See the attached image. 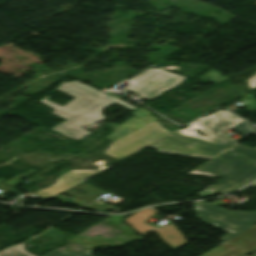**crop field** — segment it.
I'll return each instance as SVG.
<instances>
[{
	"mask_svg": "<svg viewBox=\"0 0 256 256\" xmlns=\"http://www.w3.org/2000/svg\"><path fill=\"white\" fill-rule=\"evenodd\" d=\"M196 128L202 131L206 137L199 136L194 131ZM229 128L244 136L254 132L245 121L227 111L218 110L208 117L198 119L188 125L186 129L180 130L172 134V136L218 147L223 150L171 138L169 136L148 147L163 153L212 159L239 143L229 139L226 134L222 133Z\"/></svg>",
	"mask_w": 256,
	"mask_h": 256,
	"instance_id": "obj_1",
	"label": "crop field"
},
{
	"mask_svg": "<svg viewBox=\"0 0 256 256\" xmlns=\"http://www.w3.org/2000/svg\"><path fill=\"white\" fill-rule=\"evenodd\" d=\"M57 89L76 99L74 98L75 100L63 107L45 98L40 102L54 108L52 114L66 120L52 130L75 140L89 134L82 130V127L105 118V115L100 113L103 108L117 102L131 110L135 109L76 80L69 83L64 82Z\"/></svg>",
	"mask_w": 256,
	"mask_h": 256,
	"instance_id": "obj_2",
	"label": "crop field"
},
{
	"mask_svg": "<svg viewBox=\"0 0 256 256\" xmlns=\"http://www.w3.org/2000/svg\"><path fill=\"white\" fill-rule=\"evenodd\" d=\"M189 174H202L212 178L224 176L211 188L227 194L255 179L256 167L224 153L192 170Z\"/></svg>",
	"mask_w": 256,
	"mask_h": 256,
	"instance_id": "obj_3",
	"label": "crop field"
},
{
	"mask_svg": "<svg viewBox=\"0 0 256 256\" xmlns=\"http://www.w3.org/2000/svg\"><path fill=\"white\" fill-rule=\"evenodd\" d=\"M194 207L197 213L196 218L229 232L219 239L223 242L256 222V212L229 211L203 201L196 203Z\"/></svg>",
	"mask_w": 256,
	"mask_h": 256,
	"instance_id": "obj_4",
	"label": "crop field"
},
{
	"mask_svg": "<svg viewBox=\"0 0 256 256\" xmlns=\"http://www.w3.org/2000/svg\"><path fill=\"white\" fill-rule=\"evenodd\" d=\"M185 77L163 71L157 68H149L138 75L128 79L132 85L126 89L151 100L161 92L179 85Z\"/></svg>",
	"mask_w": 256,
	"mask_h": 256,
	"instance_id": "obj_5",
	"label": "crop field"
},
{
	"mask_svg": "<svg viewBox=\"0 0 256 256\" xmlns=\"http://www.w3.org/2000/svg\"><path fill=\"white\" fill-rule=\"evenodd\" d=\"M169 134L155 120L111 144L105 152L120 159Z\"/></svg>",
	"mask_w": 256,
	"mask_h": 256,
	"instance_id": "obj_6",
	"label": "crop field"
},
{
	"mask_svg": "<svg viewBox=\"0 0 256 256\" xmlns=\"http://www.w3.org/2000/svg\"><path fill=\"white\" fill-rule=\"evenodd\" d=\"M74 187H77L83 191H85L86 193L84 194H80L78 192H75L73 190H71L72 188ZM66 191H64L63 193H66L68 195H70L71 197H73L72 199H69V200H65V199H62V198H59L57 196H55L53 199H57V200H61V201H73V203L77 206H85L86 204L92 202L93 199L107 193L106 191L104 190H100V189H97L91 185H88L84 182L74 186Z\"/></svg>",
	"mask_w": 256,
	"mask_h": 256,
	"instance_id": "obj_7",
	"label": "crop field"
},
{
	"mask_svg": "<svg viewBox=\"0 0 256 256\" xmlns=\"http://www.w3.org/2000/svg\"><path fill=\"white\" fill-rule=\"evenodd\" d=\"M154 231L157 232L163 241L174 250L188 243L173 224L169 225L168 227L162 226Z\"/></svg>",
	"mask_w": 256,
	"mask_h": 256,
	"instance_id": "obj_8",
	"label": "crop field"
},
{
	"mask_svg": "<svg viewBox=\"0 0 256 256\" xmlns=\"http://www.w3.org/2000/svg\"><path fill=\"white\" fill-rule=\"evenodd\" d=\"M156 212L157 211L151 208L142 209L130 216L129 218L125 219V221L142 235L146 231L155 228L153 226L145 224V222L148 218H150V216H152Z\"/></svg>",
	"mask_w": 256,
	"mask_h": 256,
	"instance_id": "obj_9",
	"label": "crop field"
},
{
	"mask_svg": "<svg viewBox=\"0 0 256 256\" xmlns=\"http://www.w3.org/2000/svg\"><path fill=\"white\" fill-rule=\"evenodd\" d=\"M227 243L254 251L256 249V225L232 237Z\"/></svg>",
	"mask_w": 256,
	"mask_h": 256,
	"instance_id": "obj_10",
	"label": "crop field"
},
{
	"mask_svg": "<svg viewBox=\"0 0 256 256\" xmlns=\"http://www.w3.org/2000/svg\"><path fill=\"white\" fill-rule=\"evenodd\" d=\"M226 152L256 165V148L238 144Z\"/></svg>",
	"mask_w": 256,
	"mask_h": 256,
	"instance_id": "obj_11",
	"label": "crop field"
},
{
	"mask_svg": "<svg viewBox=\"0 0 256 256\" xmlns=\"http://www.w3.org/2000/svg\"><path fill=\"white\" fill-rule=\"evenodd\" d=\"M249 253L250 252L223 243L210 252L204 253L205 255L203 256H245Z\"/></svg>",
	"mask_w": 256,
	"mask_h": 256,
	"instance_id": "obj_12",
	"label": "crop field"
},
{
	"mask_svg": "<svg viewBox=\"0 0 256 256\" xmlns=\"http://www.w3.org/2000/svg\"><path fill=\"white\" fill-rule=\"evenodd\" d=\"M96 172L98 171H70L59 178L61 179L63 185L68 188Z\"/></svg>",
	"mask_w": 256,
	"mask_h": 256,
	"instance_id": "obj_13",
	"label": "crop field"
},
{
	"mask_svg": "<svg viewBox=\"0 0 256 256\" xmlns=\"http://www.w3.org/2000/svg\"><path fill=\"white\" fill-rule=\"evenodd\" d=\"M23 242L19 245H12L2 251H0V256H33L25 251H23Z\"/></svg>",
	"mask_w": 256,
	"mask_h": 256,
	"instance_id": "obj_14",
	"label": "crop field"
},
{
	"mask_svg": "<svg viewBox=\"0 0 256 256\" xmlns=\"http://www.w3.org/2000/svg\"><path fill=\"white\" fill-rule=\"evenodd\" d=\"M41 237H47V238H51L53 242L61 239L64 237V235L62 234L61 231L56 230V229H49L48 231H46L45 233L40 235Z\"/></svg>",
	"mask_w": 256,
	"mask_h": 256,
	"instance_id": "obj_15",
	"label": "crop field"
},
{
	"mask_svg": "<svg viewBox=\"0 0 256 256\" xmlns=\"http://www.w3.org/2000/svg\"><path fill=\"white\" fill-rule=\"evenodd\" d=\"M43 256H91V253L87 251L80 252V253L51 251Z\"/></svg>",
	"mask_w": 256,
	"mask_h": 256,
	"instance_id": "obj_16",
	"label": "crop field"
},
{
	"mask_svg": "<svg viewBox=\"0 0 256 256\" xmlns=\"http://www.w3.org/2000/svg\"><path fill=\"white\" fill-rule=\"evenodd\" d=\"M64 189H66V187L62 186V184H61V182H60V180L58 178V181H57L56 184L52 185L49 188L43 189V191L49 192V193L54 195V194H56V193H58V192H60V191H62Z\"/></svg>",
	"mask_w": 256,
	"mask_h": 256,
	"instance_id": "obj_17",
	"label": "crop field"
},
{
	"mask_svg": "<svg viewBox=\"0 0 256 256\" xmlns=\"http://www.w3.org/2000/svg\"><path fill=\"white\" fill-rule=\"evenodd\" d=\"M106 206H107V204H105V203L97 202L96 205L91 204V205H89V206H87L85 208H88V209H91V210L99 212L101 210H104L106 208ZM92 208H95V209H92Z\"/></svg>",
	"mask_w": 256,
	"mask_h": 256,
	"instance_id": "obj_18",
	"label": "crop field"
},
{
	"mask_svg": "<svg viewBox=\"0 0 256 256\" xmlns=\"http://www.w3.org/2000/svg\"><path fill=\"white\" fill-rule=\"evenodd\" d=\"M248 83H249L250 88H252V89L255 88L256 87V75L249 78Z\"/></svg>",
	"mask_w": 256,
	"mask_h": 256,
	"instance_id": "obj_19",
	"label": "crop field"
},
{
	"mask_svg": "<svg viewBox=\"0 0 256 256\" xmlns=\"http://www.w3.org/2000/svg\"><path fill=\"white\" fill-rule=\"evenodd\" d=\"M36 194L40 195L42 198H48V197L52 196L51 194L43 192V191H37Z\"/></svg>",
	"mask_w": 256,
	"mask_h": 256,
	"instance_id": "obj_20",
	"label": "crop field"
},
{
	"mask_svg": "<svg viewBox=\"0 0 256 256\" xmlns=\"http://www.w3.org/2000/svg\"><path fill=\"white\" fill-rule=\"evenodd\" d=\"M252 187L256 186V181L254 183L251 184Z\"/></svg>",
	"mask_w": 256,
	"mask_h": 256,
	"instance_id": "obj_21",
	"label": "crop field"
},
{
	"mask_svg": "<svg viewBox=\"0 0 256 256\" xmlns=\"http://www.w3.org/2000/svg\"><path fill=\"white\" fill-rule=\"evenodd\" d=\"M172 137V136H171ZM176 138V137H175ZM180 139V138H179ZM184 140V139H183ZM188 141V140H187ZM192 142V141H191Z\"/></svg>",
	"mask_w": 256,
	"mask_h": 256,
	"instance_id": "obj_22",
	"label": "crop field"
}]
</instances>
